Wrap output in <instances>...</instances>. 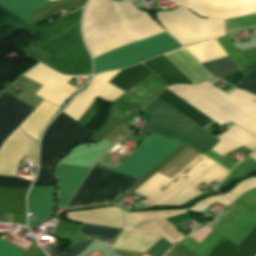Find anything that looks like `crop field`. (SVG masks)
Segmentation results:
<instances>
[{
	"label": "crop field",
	"instance_id": "38",
	"mask_svg": "<svg viewBox=\"0 0 256 256\" xmlns=\"http://www.w3.org/2000/svg\"><path fill=\"white\" fill-rule=\"evenodd\" d=\"M93 241L94 239L85 236L81 241H79L76 245H74L72 248L66 251L63 255L58 249L56 243H51L48 246L56 256H78Z\"/></svg>",
	"mask_w": 256,
	"mask_h": 256
},
{
	"label": "crop field",
	"instance_id": "31",
	"mask_svg": "<svg viewBox=\"0 0 256 256\" xmlns=\"http://www.w3.org/2000/svg\"><path fill=\"white\" fill-rule=\"evenodd\" d=\"M150 73L152 72L149 71L146 67L138 64L133 67L124 69L109 83L126 92Z\"/></svg>",
	"mask_w": 256,
	"mask_h": 256
},
{
	"label": "crop field",
	"instance_id": "12",
	"mask_svg": "<svg viewBox=\"0 0 256 256\" xmlns=\"http://www.w3.org/2000/svg\"><path fill=\"white\" fill-rule=\"evenodd\" d=\"M120 71H110L94 76L85 90L78 94L63 112L77 122L97 96L109 103L113 102L124 92L108 82Z\"/></svg>",
	"mask_w": 256,
	"mask_h": 256
},
{
	"label": "crop field",
	"instance_id": "21",
	"mask_svg": "<svg viewBox=\"0 0 256 256\" xmlns=\"http://www.w3.org/2000/svg\"><path fill=\"white\" fill-rule=\"evenodd\" d=\"M81 9L63 17L62 19L48 24H43L37 27L30 34L33 35L36 39H34L30 43L31 49L34 51L47 41L51 40L67 28L71 27L75 23L79 22Z\"/></svg>",
	"mask_w": 256,
	"mask_h": 256
},
{
	"label": "crop field",
	"instance_id": "37",
	"mask_svg": "<svg viewBox=\"0 0 256 256\" xmlns=\"http://www.w3.org/2000/svg\"><path fill=\"white\" fill-rule=\"evenodd\" d=\"M139 110L126 105L113 104L107 122L101 127L100 131H106L114 120L126 122L127 119Z\"/></svg>",
	"mask_w": 256,
	"mask_h": 256
},
{
	"label": "crop field",
	"instance_id": "6",
	"mask_svg": "<svg viewBox=\"0 0 256 256\" xmlns=\"http://www.w3.org/2000/svg\"><path fill=\"white\" fill-rule=\"evenodd\" d=\"M79 23L41 46L54 70L62 74H91V64L82 45Z\"/></svg>",
	"mask_w": 256,
	"mask_h": 256
},
{
	"label": "crop field",
	"instance_id": "32",
	"mask_svg": "<svg viewBox=\"0 0 256 256\" xmlns=\"http://www.w3.org/2000/svg\"><path fill=\"white\" fill-rule=\"evenodd\" d=\"M184 48L189 53H191L200 63L227 56V54L217 43L216 39Z\"/></svg>",
	"mask_w": 256,
	"mask_h": 256
},
{
	"label": "crop field",
	"instance_id": "19",
	"mask_svg": "<svg viewBox=\"0 0 256 256\" xmlns=\"http://www.w3.org/2000/svg\"><path fill=\"white\" fill-rule=\"evenodd\" d=\"M164 86L163 81L152 73L115 102L132 104L141 110L148 100L162 91Z\"/></svg>",
	"mask_w": 256,
	"mask_h": 256
},
{
	"label": "crop field",
	"instance_id": "20",
	"mask_svg": "<svg viewBox=\"0 0 256 256\" xmlns=\"http://www.w3.org/2000/svg\"><path fill=\"white\" fill-rule=\"evenodd\" d=\"M228 172V170L216 163L214 166L188 184L185 188L175 194L172 198L166 201L164 205H181L182 203L201 193L195 190V187H197L199 184L204 182L208 185L214 180L220 182L228 174Z\"/></svg>",
	"mask_w": 256,
	"mask_h": 256
},
{
	"label": "crop field",
	"instance_id": "33",
	"mask_svg": "<svg viewBox=\"0 0 256 256\" xmlns=\"http://www.w3.org/2000/svg\"><path fill=\"white\" fill-rule=\"evenodd\" d=\"M182 144H183V143H182ZM182 144H181V145H182ZM181 145H180V146H181ZM184 145H185V144H184ZM180 146H179V147H180ZM186 146H187V145H186ZM186 146H185V147H186ZM179 147H177L173 152H175ZM181 147H182V146H181ZM181 147H180V148H181ZM188 147H189V146H188ZM188 147H187V148H188ZM187 148H186V149H187ZM186 149H185V150H186ZM188 149H190V147H189ZM188 149H187V150H188ZM179 150H180V149H179ZM181 150H182V149H181ZM181 150H180V151H181ZM183 150H184V149H183ZM183 150H182V151H183ZM185 150H184V151H185ZM187 150H186V151H187ZM191 150H192V148H191L190 150H188L187 152L185 151L186 153L183 151L185 154L182 155V156L180 155L181 153H180V154L178 153L181 157L177 154L180 158L176 155L179 159H177L176 161L174 160L175 162L173 161L174 163H172L170 166L168 165L169 167L166 168L164 171L162 170L163 172H161L160 174L163 175L167 170H169L176 162H178L183 156H185V155H186L189 151H191ZM171 152H172V151H171ZM173 152H172V153H173ZM183 152H182V153H183ZM172 153H170V154H169L168 156H166L162 161H160V162H159L155 167H153L147 174H149V173H150L152 170H154L158 165H160L164 160H166ZM173 155H174V154H173ZM173 155H172V156H173ZM199 155H201V153H199V152H197V151H195V150L193 149V150H192L191 152H189L184 158H182L178 163H176L169 171H167V172L164 174V176H166V177H168V178H170V179L173 178V177H174L175 175H177L181 170H183L187 165H189L193 160H195ZM176 156H175V157H176ZM175 157H174V158H175ZM177 157H176V158H177ZM174 158H172L171 160H173ZM167 160H168V159H167ZM171 160H170V161H171ZM170 161H169V162H170ZM169 162H168V163H169ZM168 163H167V164H168ZM170 163H171V162H170ZM167 164H165L164 166L162 165V166L165 167ZM162 166H161V167H162ZM163 167H162V168H163ZM162 168H161V169H162ZM161 169H159V170L157 169V170L160 171ZM157 170H156V171H157ZM156 171H155V172H156ZM147 174H146V175H147ZM154 174H155V173H154ZM146 175H144L142 178H144ZM151 176H152V175H151ZM151 176H150V177H151ZM148 177H149V176H148ZM148 177H147V178H148ZM150 177H149V178H150ZM142 178H141V179H142ZM141 179H140V180H141ZM140 180H139V181H140ZM142 181H143V180H142ZM144 182H145V181H144ZM144 182H143V183H144ZM141 183H142V182H141ZM135 184H136V183H135ZM135 184H134V185H135ZM136 186H137V185H136ZM136 186H135V187H136ZM133 187H134V186H133ZM130 188H131V187H130ZM130 188H129V189H130ZM129 189H128V190H129ZM137 189H138V188H137Z\"/></svg>",
	"mask_w": 256,
	"mask_h": 256
},
{
	"label": "crop field",
	"instance_id": "34",
	"mask_svg": "<svg viewBox=\"0 0 256 256\" xmlns=\"http://www.w3.org/2000/svg\"><path fill=\"white\" fill-rule=\"evenodd\" d=\"M49 3L47 0H0L1 6L25 21L34 10Z\"/></svg>",
	"mask_w": 256,
	"mask_h": 256
},
{
	"label": "crop field",
	"instance_id": "4",
	"mask_svg": "<svg viewBox=\"0 0 256 256\" xmlns=\"http://www.w3.org/2000/svg\"><path fill=\"white\" fill-rule=\"evenodd\" d=\"M230 206L233 208L200 244L189 237L179 243L199 256H207L222 237L239 246L256 226V189L244 193Z\"/></svg>",
	"mask_w": 256,
	"mask_h": 256
},
{
	"label": "crop field",
	"instance_id": "28",
	"mask_svg": "<svg viewBox=\"0 0 256 256\" xmlns=\"http://www.w3.org/2000/svg\"><path fill=\"white\" fill-rule=\"evenodd\" d=\"M150 70L163 79L166 86L176 83H190L187 78L177 70L163 55L145 63Z\"/></svg>",
	"mask_w": 256,
	"mask_h": 256
},
{
	"label": "crop field",
	"instance_id": "46",
	"mask_svg": "<svg viewBox=\"0 0 256 256\" xmlns=\"http://www.w3.org/2000/svg\"><path fill=\"white\" fill-rule=\"evenodd\" d=\"M204 155L208 156L209 158H211L212 160H214L215 162L219 163L220 165L224 166L225 168H227L229 170L235 165L211 150Z\"/></svg>",
	"mask_w": 256,
	"mask_h": 256
},
{
	"label": "crop field",
	"instance_id": "29",
	"mask_svg": "<svg viewBox=\"0 0 256 256\" xmlns=\"http://www.w3.org/2000/svg\"><path fill=\"white\" fill-rule=\"evenodd\" d=\"M157 97L162 99L164 102L172 106L174 109L185 115L202 128L213 121L166 89Z\"/></svg>",
	"mask_w": 256,
	"mask_h": 256
},
{
	"label": "crop field",
	"instance_id": "47",
	"mask_svg": "<svg viewBox=\"0 0 256 256\" xmlns=\"http://www.w3.org/2000/svg\"><path fill=\"white\" fill-rule=\"evenodd\" d=\"M124 216V223H123V230L133 232V213H126L123 211Z\"/></svg>",
	"mask_w": 256,
	"mask_h": 256
},
{
	"label": "crop field",
	"instance_id": "13",
	"mask_svg": "<svg viewBox=\"0 0 256 256\" xmlns=\"http://www.w3.org/2000/svg\"><path fill=\"white\" fill-rule=\"evenodd\" d=\"M23 76L42 84L35 95L58 107L77 90L66 83L72 78L71 76L60 75L42 64L35 65Z\"/></svg>",
	"mask_w": 256,
	"mask_h": 256
},
{
	"label": "crop field",
	"instance_id": "45",
	"mask_svg": "<svg viewBox=\"0 0 256 256\" xmlns=\"http://www.w3.org/2000/svg\"><path fill=\"white\" fill-rule=\"evenodd\" d=\"M254 70L255 71L243 81L240 87L256 94V67H254Z\"/></svg>",
	"mask_w": 256,
	"mask_h": 256
},
{
	"label": "crop field",
	"instance_id": "41",
	"mask_svg": "<svg viewBox=\"0 0 256 256\" xmlns=\"http://www.w3.org/2000/svg\"><path fill=\"white\" fill-rule=\"evenodd\" d=\"M256 187V177H252L248 180L242 181L238 183V185L232 189L230 192L224 194L227 197H229L231 200H234L236 197H238L241 193Z\"/></svg>",
	"mask_w": 256,
	"mask_h": 256
},
{
	"label": "crop field",
	"instance_id": "16",
	"mask_svg": "<svg viewBox=\"0 0 256 256\" xmlns=\"http://www.w3.org/2000/svg\"><path fill=\"white\" fill-rule=\"evenodd\" d=\"M34 109L5 92L0 95V146Z\"/></svg>",
	"mask_w": 256,
	"mask_h": 256
},
{
	"label": "crop field",
	"instance_id": "1",
	"mask_svg": "<svg viewBox=\"0 0 256 256\" xmlns=\"http://www.w3.org/2000/svg\"><path fill=\"white\" fill-rule=\"evenodd\" d=\"M131 1L90 0L83 18V36L141 16ZM163 32L149 14L84 37L92 58ZM180 46L165 32L94 58V74L129 67Z\"/></svg>",
	"mask_w": 256,
	"mask_h": 256
},
{
	"label": "crop field",
	"instance_id": "44",
	"mask_svg": "<svg viewBox=\"0 0 256 256\" xmlns=\"http://www.w3.org/2000/svg\"><path fill=\"white\" fill-rule=\"evenodd\" d=\"M33 186H54L48 168H39L38 176Z\"/></svg>",
	"mask_w": 256,
	"mask_h": 256
},
{
	"label": "crop field",
	"instance_id": "3",
	"mask_svg": "<svg viewBox=\"0 0 256 256\" xmlns=\"http://www.w3.org/2000/svg\"><path fill=\"white\" fill-rule=\"evenodd\" d=\"M4 147V148H2ZM0 175H15L24 156L36 158L37 142L28 138L18 127L0 148ZM31 181L0 176V186L27 189ZM0 187V212L14 214L12 223L25 225L24 198L27 190Z\"/></svg>",
	"mask_w": 256,
	"mask_h": 256
},
{
	"label": "crop field",
	"instance_id": "39",
	"mask_svg": "<svg viewBox=\"0 0 256 256\" xmlns=\"http://www.w3.org/2000/svg\"><path fill=\"white\" fill-rule=\"evenodd\" d=\"M225 31L256 25V14L224 20Z\"/></svg>",
	"mask_w": 256,
	"mask_h": 256
},
{
	"label": "crop field",
	"instance_id": "11",
	"mask_svg": "<svg viewBox=\"0 0 256 256\" xmlns=\"http://www.w3.org/2000/svg\"><path fill=\"white\" fill-rule=\"evenodd\" d=\"M179 144L178 141L155 135L114 171L139 179Z\"/></svg>",
	"mask_w": 256,
	"mask_h": 256
},
{
	"label": "crop field",
	"instance_id": "30",
	"mask_svg": "<svg viewBox=\"0 0 256 256\" xmlns=\"http://www.w3.org/2000/svg\"><path fill=\"white\" fill-rule=\"evenodd\" d=\"M217 41L240 71L256 65V47L239 51L228 36L217 38Z\"/></svg>",
	"mask_w": 256,
	"mask_h": 256
},
{
	"label": "crop field",
	"instance_id": "7",
	"mask_svg": "<svg viewBox=\"0 0 256 256\" xmlns=\"http://www.w3.org/2000/svg\"><path fill=\"white\" fill-rule=\"evenodd\" d=\"M157 18L182 45L225 35L223 21L198 18L182 7L170 12H159Z\"/></svg>",
	"mask_w": 256,
	"mask_h": 256
},
{
	"label": "crop field",
	"instance_id": "36",
	"mask_svg": "<svg viewBox=\"0 0 256 256\" xmlns=\"http://www.w3.org/2000/svg\"><path fill=\"white\" fill-rule=\"evenodd\" d=\"M120 230L121 229L108 228V227L82 223L78 233L88 235V236H93V237L105 238V239L114 241V239L119 234Z\"/></svg>",
	"mask_w": 256,
	"mask_h": 256
},
{
	"label": "crop field",
	"instance_id": "48",
	"mask_svg": "<svg viewBox=\"0 0 256 256\" xmlns=\"http://www.w3.org/2000/svg\"><path fill=\"white\" fill-rule=\"evenodd\" d=\"M78 230H79L78 226L69 225V224H65V223H61V222L58 223V225L55 229V231H68V232H75V233H77Z\"/></svg>",
	"mask_w": 256,
	"mask_h": 256
},
{
	"label": "crop field",
	"instance_id": "25",
	"mask_svg": "<svg viewBox=\"0 0 256 256\" xmlns=\"http://www.w3.org/2000/svg\"><path fill=\"white\" fill-rule=\"evenodd\" d=\"M160 238L161 236L121 232L117 239L154 244ZM119 240L115 241L112 248L145 253L152 246L150 244L134 243V242H127V241H119ZM115 249H112V250H114L115 253L121 256H141L142 255L140 253L127 252V251H121V250H115Z\"/></svg>",
	"mask_w": 256,
	"mask_h": 256
},
{
	"label": "crop field",
	"instance_id": "49",
	"mask_svg": "<svg viewBox=\"0 0 256 256\" xmlns=\"http://www.w3.org/2000/svg\"><path fill=\"white\" fill-rule=\"evenodd\" d=\"M55 234H58L60 236H63L65 238H67V239H70V240H73V241H76V242H78L81 238L84 237L82 235L67 234V233H55Z\"/></svg>",
	"mask_w": 256,
	"mask_h": 256
},
{
	"label": "crop field",
	"instance_id": "14",
	"mask_svg": "<svg viewBox=\"0 0 256 256\" xmlns=\"http://www.w3.org/2000/svg\"><path fill=\"white\" fill-rule=\"evenodd\" d=\"M196 14L226 19L256 12V0H175Z\"/></svg>",
	"mask_w": 256,
	"mask_h": 256
},
{
	"label": "crop field",
	"instance_id": "17",
	"mask_svg": "<svg viewBox=\"0 0 256 256\" xmlns=\"http://www.w3.org/2000/svg\"><path fill=\"white\" fill-rule=\"evenodd\" d=\"M90 168L59 165L55 175L59 180L58 204L64 208Z\"/></svg>",
	"mask_w": 256,
	"mask_h": 256
},
{
	"label": "crop field",
	"instance_id": "8",
	"mask_svg": "<svg viewBox=\"0 0 256 256\" xmlns=\"http://www.w3.org/2000/svg\"><path fill=\"white\" fill-rule=\"evenodd\" d=\"M135 181L137 179L94 166L66 208L109 203Z\"/></svg>",
	"mask_w": 256,
	"mask_h": 256
},
{
	"label": "crop field",
	"instance_id": "26",
	"mask_svg": "<svg viewBox=\"0 0 256 256\" xmlns=\"http://www.w3.org/2000/svg\"><path fill=\"white\" fill-rule=\"evenodd\" d=\"M57 109V107L43 100L20 125V128L25 134L37 140L45 124L51 119Z\"/></svg>",
	"mask_w": 256,
	"mask_h": 256
},
{
	"label": "crop field",
	"instance_id": "23",
	"mask_svg": "<svg viewBox=\"0 0 256 256\" xmlns=\"http://www.w3.org/2000/svg\"><path fill=\"white\" fill-rule=\"evenodd\" d=\"M164 56L193 84L212 78L197 61L182 48L166 53Z\"/></svg>",
	"mask_w": 256,
	"mask_h": 256
},
{
	"label": "crop field",
	"instance_id": "27",
	"mask_svg": "<svg viewBox=\"0 0 256 256\" xmlns=\"http://www.w3.org/2000/svg\"><path fill=\"white\" fill-rule=\"evenodd\" d=\"M256 255V227L243 243L237 247L225 239H221L218 245L208 256H255Z\"/></svg>",
	"mask_w": 256,
	"mask_h": 256
},
{
	"label": "crop field",
	"instance_id": "2",
	"mask_svg": "<svg viewBox=\"0 0 256 256\" xmlns=\"http://www.w3.org/2000/svg\"><path fill=\"white\" fill-rule=\"evenodd\" d=\"M206 82L166 89L220 125L232 121L256 135V97L238 89L227 95Z\"/></svg>",
	"mask_w": 256,
	"mask_h": 256
},
{
	"label": "crop field",
	"instance_id": "5",
	"mask_svg": "<svg viewBox=\"0 0 256 256\" xmlns=\"http://www.w3.org/2000/svg\"><path fill=\"white\" fill-rule=\"evenodd\" d=\"M161 101L155 97L144 107L155 116L147 131L174 138L203 154L220 141Z\"/></svg>",
	"mask_w": 256,
	"mask_h": 256
},
{
	"label": "crop field",
	"instance_id": "50",
	"mask_svg": "<svg viewBox=\"0 0 256 256\" xmlns=\"http://www.w3.org/2000/svg\"><path fill=\"white\" fill-rule=\"evenodd\" d=\"M12 216L13 215H10V214H2V213H0V222L11 223Z\"/></svg>",
	"mask_w": 256,
	"mask_h": 256
},
{
	"label": "crop field",
	"instance_id": "43",
	"mask_svg": "<svg viewBox=\"0 0 256 256\" xmlns=\"http://www.w3.org/2000/svg\"><path fill=\"white\" fill-rule=\"evenodd\" d=\"M24 250L0 239V256H21Z\"/></svg>",
	"mask_w": 256,
	"mask_h": 256
},
{
	"label": "crop field",
	"instance_id": "9",
	"mask_svg": "<svg viewBox=\"0 0 256 256\" xmlns=\"http://www.w3.org/2000/svg\"><path fill=\"white\" fill-rule=\"evenodd\" d=\"M92 135L93 132L88 131L61 112L43 136L39 167H51L54 161L70 146L86 140Z\"/></svg>",
	"mask_w": 256,
	"mask_h": 256
},
{
	"label": "crop field",
	"instance_id": "54",
	"mask_svg": "<svg viewBox=\"0 0 256 256\" xmlns=\"http://www.w3.org/2000/svg\"><path fill=\"white\" fill-rule=\"evenodd\" d=\"M50 1H53V0H50Z\"/></svg>",
	"mask_w": 256,
	"mask_h": 256
},
{
	"label": "crop field",
	"instance_id": "10",
	"mask_svg": "<svg viewBox=\"0 0 256 256\" xmlns=\"http://www.w3.org/2000/svg\"><path fill=\"white\" fill-rule=\"evenodd\" d=\"M214 163L215 162L211 161L202 154L173 179L169 180L156 173L138 190H136L135 193L149 198L142 200L141 202L152 207L159 205L168 200L171 196L211 167Z\"/></svg>",
	"mask_w": 256,
	"mask_h": 256
},
{
	"label": "crop field",
	"instance_id": "24",
	"mask_svg": "<svg viewBox=\"0 0 256 256\" xmlns=\"http://www.w3.org/2000/svg\"><path fill=\"white\" fill-rule=\"evenodd\" d=\"M221 141L211 150L224 156L240 147H245L251 151L256 150V138L237 126H233L227 133L219 137Z\"/></svg>",
	"mask_w": 256,
	"mask_h": 256
},
{
	"label": "crop field",
	"instance_id": "18",
	"mask_svg": "<svg viewBox=\"0 0 256 256\" xmlns=\"http://www.w3.org/2000/svg\"><path fill=\"white\" fill-rule=\"evenodd\" d=\"M68 221L85 222L108 227L121 228L122 211L116 207L76 211L66 213Z\"/></svg>",
	"mask_w": 256,
	"mask_h": 256
},
{
	"label": "crop field",
	"instance_id": "22",
	"mask_svg": "<svg viewBox=\"0 0 256 256\" xmlns=\"http://www.w3.org/2000/svg\"><path fill=\"white\" fill-rule=\"evenodd\" d=\"M54 188H31L28 194V213H36V220H28V227L47 219L54 207Z\"/></svg>",
	"mask_w": 256,
	"mask_h": 256
},
{
	"label": "crop field",
	"instance_id": "42",
	"mask_svg": "<svg viewBox=\"0 0 256 256\" xmlns=\"http://www.w3.org/2000/svg\"><path fill=\"white\" fill-rule=\"evenodd\" d=\"M214 201H216L218 203H221L225 206H227L230 202V200H228L225 197L215 195V196L206 198L203 201L197 202L194 205V207H191L189 209H192V210H195V211H202V210L206 209L209 205H211Z\"/></svg>",
	"mask_w": 256,
	"mask_h": 256
},
{
	"label": "crop field",
	"instance_id": "40",
	"mask_svg": "<svg viewBox=\"0 0 256 256\" xmlns=\"http://www.w3.org/2000/svg\"><path fill=\"white\" fill-rule=\"evenodd\" d=\"M256 168V161L251 157L244 161L242 164L235 167V169L230 173V175L217 186V190L224 185L228 180L247 173Z\"/></svg>",
	"mask_w": 256,
	"mask_h": 256
},
{
	"label": "crop field",
	"instance_id": "52",
	"mask_svg": "<svg viewBox=\"0 0 256 256\" xmlns=\"http://www.w3.org/2000/svg\"><path fill=\"white\" fill-rule=\"evenodd\" d=\"M164 256H173V254H172V252L170 251V252L166 253Z\"/></svg>",
	"mask_w": 256,
	"mask_h": 256
},
{
	"label": "crop field",
	"instance_id": "35",
	"mask_svg": "<svg viewBox=\"0 0 256 256\" xmlns=\"http://www.w3.org/2000/svg\"><path fill=\"white\" fill-rule=\"evenodd\" d=\"M202 65L208 73L218 78L238 72V69L228 56L218 60L202 63Z\"/></svg>",
	"mask_w": 256,
	"mask_h": 256
},
{
	"label": "crop field",
	"instance_id": "51",
	"mask_svg": "<svg viewBox=\"0 0 256 256\" xmlns=\"http://www.w3.org/2000/svg\"><path fill=\"white\" fill-rule=\"evenodd\" d=\"M251 157H253L254 159H256V151L254 153H252L251 155H249Z\"/></svg>",
	"mask_w": 256,
	"mask_h": 256
},
{
	"label": "crop field",
	"instance_id": "53",
	"mask_svg": "<svg viewBox=\"0 0 256 256\" xmlns=\"http://www.w3.org/2000/svg\"><path fill=\"white\" fill-rule=\"evenodd\" d=\"M120 201H113V203H119Z\"/></svg>",
	"mask_w": 256,
	"mask_h": 256
},
{
	"label": "crop field",
	"instance_id": "15",
	"mask_svg": "<svg viewBox=\"0 0 256 256\" xmlns=\"http://www.w3.org/2000/svg\"><path fill=\"white\" fill-rule=\"evenodd\" d=\"M186 210H163V211H146V212H136L134 213V225L138 224L145 220H150L151 222L146 223L136 229L134 232L140 233H150L157 234L164 237L171 244L183 238V235L171 226L164 218L186 213ZM153 221L159 224L165 231H167L173 238H171L164 230H162L158 225Z\"/></svg>",
	"mask_w": 256,
	"mask_h": 256
}]
</instances>
